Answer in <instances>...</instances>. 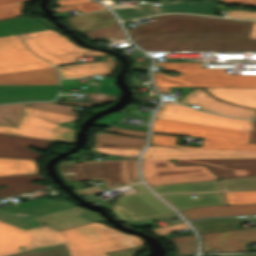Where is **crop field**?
<instances>
[{
  "label": "crop field",
  "mask_w": 256,
  "mask_h": 256,
  "mask_svg": "<svg viewBox=\"0 0 256 256\" xmlns=\"http://www.w3.org/2000/svg\"><path fill=\"white\" fill-rule=\"evenodd\" d=\"M154 19L128 29L134 42L146 51H256V39H249L254 22L184 14Z\"/></svg>",
  "instance_id": "obj_1"
},
{
  "label": "crop field",
  "mask_w": 256,
  "mask_h": 256,
  "mask_svg": "<svg viewBox=\"0 0 256 256\" xmlns=\"http://www.w3.org/2000/svg\"><path fill=\"white\" fill-rule=\"evenodd\" d=\"M65 243L68 248L99 245L68 250L70 256H108L104 252L142 245V239L127 235L99 223H91L64 231L47 225L21 230L0 222V256H9L27 249Z\"/></svg>",
  "instance_id": "obj_2"
},
{
  "label": "crop field",
  "mask_w": 256,
  "mask_h": 256,
  "mask_svg": "<svg viewBox=\"0 0 256 256\" xmlns=\"http://www.w3.org/2000/svg\"><path fill=\"white\" fill-rule=\"evenodd\" d=\"M177 165L205 164L222 179L256 176V159L175 160ZM149 185L218 179L205 166H175L172 160H142Z\"/></svg>",
  "instance_id": "obj_3"
},
{
  "label": "crop field",
  "mask_w": 256,
  "mask_h": 256,
  "mask_svg": "<svg viewBox=\"0 0 256 256\" xmlns=\"http://www.w3.org/2000/svg\"><path fill=\"white\" fill-rule=\"evenodd\" d=\"M152 132L203 137L201 147L186 148L256 150V144L249 143L251 132L207 126L181 121L154 118ZM151 144L175 145L178 136L152 134Z\"/></svg>",
  "instance_id": "obj_4"
},
{
  "label": "crop field",
  "mask_w": 256,
  "mask_h": 256,
  "mask_svg": "<svg viewBox=\"0 0 256 256\" xmlns=\"http://www.w3.org/2000/svg\"><path fill=\"white\" fill-rule=\"evenodd\" d=\"M199 64L156 63L164 70L181 72L178 77H170L153 71L156 86L256 87V75H231L224 68H203Z\"/></svg>",
  "instance_id": "obj_5"
},
{
  "label": "crop field",
  "mask_w": 256,
  "mask_h": 256,
  "mask_svg": "<svg viewBox=\"0 0 256 256\" xmlns=\"http://www.w3.org/2000/svg\"><path fill=\"white\" fill-rule=\"evenodd\" d=\"M136 161H70L59 162L56 168L65 182L102 179L106 181L105 185L111 189L139 182L136 173ZM73 162L88 163L74 164Z\"/></svg>",
  "instance_id": "obj_6"
},
{
  "label": "crop field",
  "mask_w": 256,
  "mask_h": 256,
  "mask_svg": "<svg viewBox=\"0 0 256 256\" xmlns=\"http://www.w3.org/2000/svg\"><path fill=\"white\" fill-rule=\"evenodd\" d=\"M20 37L29 49L54 64L77 62L76 57L80 56L107 55L78 47L52 30L21 34Z\"/></svg>",
  "instance_id": "obj_7"
},
{
  "label": "crop field",
  "mask_w": 256,
  "mask_h": 256,
  "mask_svg": "<svg viewBox=\"0 0 256 256\" xmlns=\"http://www.w3.org/2000/svg\"><path fill=\"white\" fill-rule=\"evenodd\" d=\"M138 193L118 197L110 212L122 223L148 219L167 213L172 209L155 197L142 183L133 185Z\"/></svg>",
  "instance_id": "obj_8"
},
{
  "label": "crop field",
  "mask_w": 256,
  "mask_h": 256,
  "mask_svg": "<svg viewBox=\"0 0 256 256\" xmlns=\"http://www.w3.org/2000/svg\"><path fill=\"white\" fill-rule=\"evenodd\" d=\"M0 132L72 143L75 131L38 117L22 114L18 127L0 125Z\"/></svg>",
  "instance_id": "obj_9"
},
{
  "label": "crop field",
  "mask_w": 256,
  "mask_h": 256,
  "mask_svg": "<svg viewBox=\"0 0 256 256\" xmlns=\"http://www.w3.org/2000/svg\"><path fill=\"white\" fill-rule=\"evenodd\" d=\"M155 117L251 131L253 120L232 119L163 102Z\"/></svg>",
  "instance_id": "obj_10"
},
{
  "label": "crop field",
  "mask_w": 256,
  "mask_h": 256,
  "mask_svg": "<svg viewBox=\"0 0 256 256\" xmlns=\"http://www.w3.org/2000/svg\"><path fill=\"white\" fill-rule=\"evenodd\" d=\"M51 66L29 52L17 35L0 38V73Z\"/></svg>",
  "instance_id": "obj_11"
},
{
  "label": "crop field",
  "mask_w": 256,
  "mask_h": 256,
  "mask_svg": "<svg viewBox=\"0 0 256 256\" xmlns=\"http://www.w3.org/2000/svg\"><path fill=\"white\" fill-rule=\"evenodd\" d=\"M202 252H248L246 242H256V227L200 234Z\"/></svg>",
  "instance_id": "obj_12"
},
{
  "label": "crop field",
  "mask_w": 256,
  "mask_h": 256,
  "mask_svg": "<svg viewBox=\"0 0 256 256\" xmlns=\"http://www.w3.org/2000/svg\"><path fill=\"white\" fill-rule=\"evenodd\" d=\"M256 158V151H227L170 148L149 145L142 159Z\"/></svg>",
  "instance_id": "obj_13"
},
{
  "label": "crop field",
  "mask_w": 256,
  "mask_h": 256,
  "mask_svg": "<svg viewBox=\"0 0 256 256\" xmlns=\"http://www.w3.org/2000/svg\"><path fill=\"white\" fill-rule=\"evenodd\" d=\"M51 141L0 133V158L38 159L43 154L27 146L46 150Z\"/></svg>",
  "instance_id": "obj_14"
},
{
  "label": "crop field",
  "mask_w": 256,
  "mask_h": 256,
  "mask_svg": "<svg viewBox=\"0 0 256 256\" xmlns=\"http://www.w3.org/2000/svg\"><path fill=\"white\" fill-rule=\"evenodd\" d=\"M178 102L186 105L194 104L202 107L200 109L221 115L256 118V110L245 109L220 102L201 88L195 89Z\"/></svg>",
  "instance_id": "obj_15"
},
{
  "label": "crop field",
  "mask_w": 256,
  "mask_h": 256,
  "mask_svg": "<svg viewBox=\"0 0 256 256\" xmlns=\"http://www.w3.org/2000/svg\"><path fill=\"white\" fill-rule=\"evenodd\" d=\"M58 73V72H57ZM54 67L0 74V84L51 85L59 83Z\"/></svg>",
  "instance_id": "obj_16"
},
{
  "label": "crop field",
  "mask_w": 256,
  "mask_h": 256,
  "mask_svg": "<svg viewBox=\"0 0 256 256\" xmlns=\"http://www.w3.org/2000/svg\"><path fill=\"white\" fill-rule=\"evenodd\" d=\"M117 64L118 61L113 59L101 62L61 66L57 68L61 71L62 77L100 75L104 78L100 84H113V79L108 78V75L112 74Z\"/></svg>",
  "instance_id": "obj_17"
},
{
  "label": "crop field",
  "mask_w": 256,
  "mask_h": 256,
  "mask_svg": "<svg viewBox=\"0 0 256 256\" xmlns=\"http://www.w3.org/2000/svg\"><path fill=\"white\" fill-rule=\"evenodd\" d=\"M25 104H28V107H34L72 115L78 114L76 112H73V107L57 105L53 102H32L0 105V124L17 126Z\"/></svg>",
  "instance_id": "obj_18"
},
{
  "label": "crop field",
  "mask_w": 256,
  "mask_h": 256,
  "mask_svg": "<svg viewBox=\"0 0 256 256\" xmlns=\"http://www.w3.org/2000/svg\"><path fill=\"white\" fill-rule=\"evenodd\" d=\"M186 220L212 216L256 214V204H238L216 207H196L180 211Z\"/></svg>",
  "instance_id": "obj_19"
},
{
  "label": "crop field",
  "mask_w": 256,
  "mask_h": 256,
  "mask_svg": "<svg viewBox=\"0 0 256 256\" xmlns=\"http://www.w3.org/2000/svg\"><path fill=\"white\" fill-rule=\"evenodd\" d=\"M40 173L25 174V175H11V176H0V185H6L8 187L0 188V199L6 198L29 191H38L41 189L48 188L41 184H34L31 180L42 179Z\"/></svg>",
  "instance_id": "obj_20"
},
{
  "label": "crop field",
  "mask_w": 256,
  "mask_h": 256,
  "mask_svg": "<svg viewBox=\"0 0 256 256\" xmlns=\"http://www.w3.org/2000/svg\"><path fill=\"white\" fill-rule=\"evenodd\" d=\"M194 194V193H193ZM197 198H192L188 193L161 195L164 200L181 210L195 206L225 205L221 193H195Z\"/></svg>",
  "instance_id": "obj_21"
},
{
  "label": "crop field",
  "mask_w": 256,
  "mask_h": 256,
  "mask_svg": "<svg viewBox=\"0 0 256 256\" xmlns=\"http://www.w3.org/2000/svg\"><path fill=\"white\" fill-rule=\"evenodd\" d=\"M79 32L117 25L118 22L109 10L81 14L66 18Z\"/></svg>",
  "instance_id": "obj_22"
},
{
  "label": "crop field",
  "mask_w": 256,
  "mask_h": 256,
  "mask_svg": "<svg viewBox=\"0 0 256 256\" xmlns=\"http://www.w3.org/2000/svg\"><path fill=\"white\" fill-rule=\"evenodd\" d=\"M216 98L256 108V88H205Z\"/></svg>",
  "instance_id": "obj_23"
},
{
  "label": "crop field",
  "mask_w": 256,
  "mask_h": 256,
  "mask_svg": "<svg viewBox=\"0 0 256 256\" xmlns=\"http://www.w3.org/2000/svg\"><path fill=\"white\" fill-rule=\"evenodd\" d=\"M37 20L49 25L44 19L31 20L28 17H18L0 21V37L48 29L47 27L35 22Z\"/></svg>",
  "instance_id": "obj_24"
},
{
  "label": "crop field",
  "mask_w": 256,
  "mask_h": 256,
  "mask_svg": "<svg viewBox=\"0 0 256 256\" xmlns=\"http://www.w3.org/2000/svg\"><path fill=\"white\" fill-rule=\"evenodd\" d=\"M151 187L156 193H167V192H177V191L195 192V191L220 190L217 180L156 185Z\"/></svg>",
  "instance_id": "obj_25"
},
{
  "label": "crop field",
  "mask_w": 256,
  "mask_h": 256,
  "mask_svg": "<svg viewBox=\"0 0 256 256\" xmlns=\"http://www.w3.org/2000/svg\"><path fill=\"white\" fill-rule=\"evenodd\" d=\"M249 222L248 217L202 219L192 221V225L200 232L237 229L235 223Z\"/></svg>",
  "instance_id": "obj_26"
},
{
  "label": "crop field",
  "mask_w": 256,
  "mask_h": 256,
  "mask_svg": "<svg viewBox=\"0 0 256 256\" xmlns=\"http://www.w3.org/2000/svg\"><path fill=\"white\" fill-rule=\"evenodd\" d=\"M37 172L36 160L0 159V175Z\"/></svg>",
  "instance_id": "obj_27"
},
{
  "label": "crop field",
  "mask_w": 256,
  "mask_h": 256,
  "mask_svg": "<svg viewBox=\"0 0 256 256\" xmlns=\"http://www.w3.org/2000/svg\"><path fill=\"white\" fill-rule=\"evenodd\" d=\"M57 92H0V103L28 101V100H52Z\"/></svg>",
  "instance_id": "obj_28"
},
{
  "label": "crop field",
  "mask_w": 256,
  "mask_h": 256,
  "mask_svg": "<svg viewBox=\"0 0 256 256\" xmlns=\"http://www.w3.org/2000/svg\"><path fill=\"white\" fill-rule=\"evenodd\" d=\"M24 113L54 121L56 123L65 125L74 130H76L77 128L76 124L73 123L72 120L77 118L78 116L66 115V114L55 113V112L28 108V107H25Z\"/></svg>",
  "instance_id": "obj_29"
},
{
  "label": "crop field",
  "mask_w": 256,
  "mask_h": 256,
  "mask_svg": "<svg viewBox=\"0 0 256 256\" xmlns=\"http://www.w3.org/2000/svg\"><path fill=\"white\" fill-rule=\"evenodd\" d=\"M96 143L144 146L145 139L99 132L96 134Z\"/></svg>",
  "instance_id": "obj_30"
},
{
  "label": "crop field",
  "mask_w": 256,
  "mask_h": 256,
  "mask_svg": "<svg viewBox=\"0 0 256 256\" xmlns=\"http://www.w3.org/2000/svg\"><path fill=\"white\" fill-rule=\"evenodd\" d=\"M83 34H85L91 41L104 38L107 41L112 42L115 40L126 38L120 25L103 28L99 30H94V31H89Z\"/></svg>",
  "instance_id": "obj_31"
},
{
  "label": "crop field",
  "mask_w": 256,
  "mask_h": 256,
  "mask_svg": "<svg viewBox=\"0 0 256 256\" xmlns=\"http://www.w3.org/2000/svg\"><path fill=\"white\" fill-rule=\"evenodd\" d=\"M177 245L178 256H193L196 251V239L194 235L170 237Z\"/></svg>",
  "instance_id": "obj_32"
},
{
  "label": "crop field",
  "mask_w": 256,
  "mask_h": 256,
  "mask_svg": "<svg viewBox=\"0 0 256 256\" xmlns=\"http://www.w3.org/2000/svg\"><path fill=\"white\" fill-rule=\"evenodd\" d=\"M115 12L118 14L120 19L140 17L159 13L158 8L157 6H155V4L117 10Z\"/></svg>",
  "instance_id": "obj_33"
},
{
  "label": "crop field",
  "mask_w": 256,
  "mask_h": 256,
  "mask_svg": "<svg viewBox=\"0 0 256 256\" xmlns=\"http://www.w3.org/2000/svg\"><path fill=\"white\" fill-rule=\"evenodd\" d=\"M223 190L256 189V177L220 180Z\"/></svg>",
  "instance_id": "obj_34"
},
{
  "label": "crop field",
  "mask_w": 256,
  "mask_h": 256,
  "mask_svg": "<svg viewBox=\"0 0 256 256\" xmlns=\"http://www.w3.org/2000/svg\"><path fill=\"white\" fill-rule=\"evenodd\" d=\"M226 204L256 203V191L222 192Z\"/></svg>",
  "instance_id": "obj_35"
},
{
  "label": "crop field",
  "mask_w": 256,
  "mask_h": 256,
  "mask_svg": "<svg viewBox=\"0 0 256 256\" xmlns=\"http://www.w3.org/2000/svg\"><path fill=\"white\" fill-rule=\"evenodd\" d=\"M85 96L88 97V100L85 102H57V103L83 105V106H94L101 102L115 100V99H117V97L119 95L86 92Z\"/></svg>",
  "instance_id": "obj_36"
},
{
  "label": "crop field",
  "mask_w": 256,
  "mask_h": 256,
  "mask_svg": "<svg viewBox=\"0 0 256 256\" xmlns=\"http://www.w3.org/2000/svg\"><path fill=\"white\" fill-rule=\"evenodd\" d=\"M13 256H69V253L65 245H62L40 250L27 251Z\"/></svg>",
  "instance_id": "obj_37"
},
{
  "label": "crop field",
  "mask_w": 256,
  "mask_h": 256,
  "mask_svg": "<svg viewBox=\"0 0 256 256\" xmlns=\"http://www.w3.org/2000/svg\"><path fill=\"white\" fill-rule=\"evenodd\" d=\"M73 9H76L81 13H86V12H92V11L105 9V7L103 5H101L100 3L93 1V2H88V3L58 7V8H54L52 10L54 12H60V11H67V10H73Z\"/></svg>",
  "instance_id": "obj_38"
},
{
  "label": "crop field",
  "mask_w": 256,
  "mask_h": 256,
  "mask_svg": "<svg viewBox=\"0 0 256 256\" xmlns=\"http://www.w3.org/2000/svg\"><path fill=\"white\" fill-rule=\"evenodd\" d=\"M58 85L51 86H16L0 85V91H57Z\"/></svg>",
  "instance_id": "obj_39"
},
{
  "label": "crop field",
  "mask_w": 256,
  "mask_h": 256,
  "mask_svg": "<svg viewBox=\"0 0 256 256\" xmlns=\"http://www.w3.org/2000/svg\"><path fill=\"white\" fill-rule=\"evenodd\" d=\"M24 3H16L0 7V20L21 15Z\"/></svg>",
  "instance_id": "obj_40"
},
{
  "label": "crop field",
  "mask_w": 256,
  "mask_h": 256,
  "mask_svg": "<svg viewBox=\"0 0 256 256\" xmlns=\"http://www.w3.org/2000/svg\"><path fill=\"white\" fill-rule=\"evenodd\" d=\"M61 88H78V89H80V86L62 85ZM85 91L119 94V91L116 86H102V85L87 86Z\"/></svg>",
  "instance_id": "obj_41"
},
{
  "label": "crop field",
  "mask_w": 256,
  "mask_h": 256,
  "mask_svg": "<svg viewBox=\"0 0 256 256\" xmlns=\"http://www.w3.org/2000/svg\"><path fill=\"white\" fill-rule=\"evenodd\" d=\"M90 150L106 154H139L140 150L92 147Z\"/></svg>",
  "instance_id": "obj_42"
},
{
  "label": "crop field",
  "mask_w": 256,
  "mask_h": 256,
  "mask_svg": "<svg viewBox=\"0 0 256 256\" xmlns=\"http://www.w3.org/2000/svg\"><path fill=\"white\" fill-rule=\"evenodd\" d=\"M228 17L256 19V12H251L249 10H230Z\"/></svg>",
  "instance_id": "obj_43"
},
{
  "label": "crop field",
  "mask_w": 256,
  "mask_h": 256,
  "mask_svg": "<svg viewBox=\"0 0 256 256\" xmlns=\"http://www.w3.org/2000/svg\"><path fill=\"white\" fill-rule=\"evenodd\" d=\"M143 247H135L127 250L108 252L109 256H135L138 252L142 251Z\"/></svg>",
  "instance_id": "obj_44"
},
{
  "label": "crop field",
  "mask_w": 256,
  "mask_h": 256,
  "mask_svg": "<svg viewBox=\"0 0 256 256\" xmlns=\"http://www.w3.org/2000/svg\"><path fill=\"white\" fill-rule=\"evenodd\" d=\"M182 228H188V226L185 223H182V224H178V225L153 229L152 232H154L157 235H162V234L171 232L175 229H182Z\"/></svg>",
  "instance_id": "obj_45"
},
{
  "label": "crop field",
  "mask_w": 256,
  "mask_h": 256,
  "mask_svg": "<svg viewBox=\"0 0 256 256\" xmlns=\"http://www.w3.org/2000/svg\"><path fill=\"white\" fill-rule=\"evenodd\" d=\"M106 131L116 132V133H119V134H128V135L141 136V137H146V135H147V132L123 130V129H114V128H107Z\"/></svg>",
  "instance_id": "obj_46"
},
{
  "label": "crop field",
  "mask_w": 256,
  "mask_h": 256,
  "mask_svg": "<svg viewBox=\"0 0 256 256\" xmlns=\"http://www.w3.org/2000/svg\"><path fill=\"white\" fill-rule=\"evenodd\" d=\"M167 62H204L198 58H166Z\"/></svg>",
  "instance_id": "obj_47"
},
{
  "label": "crop field",
  "mask_w": 256,
  "mask_h": 256,
  "mask_svg": "<svg viewBox=\"0 0 256 256\" xmlns=\"http://www.w3.org/2000/svg\"><path fill=\"white\" fill-rule=\"evenodd\" d=\"M227 3L256 6V0H221Z\"/></svg>",
  "instance_id": "obj_48"
},
{
  "label": "crop field",
  "mask_w": 256,
  "mask_h": 256,
  "mask_svg": "<svg viewBox=\"0 0 256 256\" xmlns=\"http://www.w3.org/2000/svg\"><path fill=\"white\" fill-rule=\"evenodd\" d=\"M74 191H76L79 195H86V194L102 192V190H100L96 187H91V188H86V189H79V190H74Z\"/></svg>",
  "instance_id": "obj_49"
},
{
  "label": "crop field",
  "mask_w": 256,
  "mask_h": 256,
  "mask_svg": "<svg viewBox=\"0 0 256 256\" xmlns=\"http://www.w3.org/2000/svg\"><path fill=\"white\" fill-rule=\"evenodd\" d=\"M55 1L57 2L58 5L64 6V5L88 2V1H93V0H55Z\"/></svg>",
  "instance_id": "obj_50"
},
{
  "label": "crop field",
  "mask_w": 256,
  "mask_h": 256,
  "mask_svg": "<svg viewBox=\"0 0 256 256\" xmlns=\"http://www.w3.org/2000/svg\"><path fill=\"white\" fill-rule=\"evenodd\" d=\"M150 66V60L144 62H135L132 69H145L148 70Z\"/></svg>",
  "instance_id": "obj_51"
},
{
  "label": "crop field",
  "mask_w": 256,
  "mask_h": 256,
  "mask_svg": "<svg viewBox=\"0 0 256 256\" xmlns=\"http://www.w3.org/2000/svg\"><path fill=\"white\" fill-rule=\"evenodd\" d=\"M93 146L143 149V147H136V146H120V145H104V144H94Z\"/></svg>",
  "instance_id": "obj_52"
},
{
  "label": "crop field",
  "mask_w": 256,
  "mask_h": 256,
  "mask_svg": "<svg viewBox=\"0 0 256 256\" xmlns=\"http://www.w3.org/2000/svg\"><path fill=\"white\" fill-rule=\"evenodd\" d=\"M129 82L133 87H145L144 85H148V84H142L141 81L134 79V77H131Z\"/></svg>",
  "instance_id": "obj_53"
},
{
  "label": "crop field",
  "mask_w": 256,
  "mask_h": 256,
  "mask_svg": "<svg viewBox=\"0 0 256 256\" xmlns=\"http://www.w3.org/2000/svg\"><path fill=\"white\" fill-rule=\"evenodd\" d=\"M62 84L87 85V83H78L77 79L62 80Z\"/></svg>",
  "instance_id": "obj_54"
},
{
  "label": "crop field",
  "mask_w": 256,
  "mask_h": 256,
  "mask_svg": "<svg viewBox=\"0 0 256 256\" xmlns=\"http://www.w3.org/2000/svg\"><path fill=\"white\" fill-rule=\"evenodd\" d=\"M250 142L256 143V120H254V123H253V129H252Z\"/></svg>",
  "instance_id": "obj_55"
},
{
  "label": "crop field",
  "mask_w": 256,
  "mask_h": 256,
  "mask_svg": "<svg viewBox=\"0 0 256 256\" xmlns=\"http://www.w3.org/2000/svg\"><path fill=\"white\" fill-rule=\"evenodd\" d=\"M21 1H26V0H0V6L6 5V4H11V3H16V2H21Z\"/></svg>",
  "instance_id": "obj_56"
},
{
  "label": "crop field",
  "mask_w": 256,
  "mask_h": 256,
  "mask_svg": "<svg viewBox=\"0 0 256 256\" xmlns=\"http://www.w3.org/2000/svg\"><path fill=\"white\" fill-rule=\"evenodd\" d=\"M131 7L129 4H124V5H119V6H115V7H111L113 10H117V9H123V8H129Z\"/></svg>",
  "instance_id": "obj_57"
},
{
  "label": "crop field",
  "mask_w": 256,
  "mask_h": 256,
  "mask_svg": "<svg viewBox=\"0 0 256 256\" xmlns=\"http://www.w3.org/2000/svg\"><path fill=\"white\" fill-rule=\"evenodd\" d=\"M250 38H256V22L254 23Z\"/></svg>",
  "instance_id": "obj_58"
},
{
  "label": "crop field",
  "mask_w": 256,
  "mask_h": 256,
  "mask_svg": "<svg viewBox=\"0 0 256 256\" xmlns=\"http://www.w3.org/2000/svg\"><path fill=\"white\" fill-rule=\"evenodd\" d=\"M158 90H171V87H156Z\"/></svg>",
  "instance_id": "obj_59"
},
{
  "label": "crop field",
  "mask_w": 256,
  "mask_h": 256,
  "mask_svg": "<svg viewBox=\"0 0 256 256\" xmlns=\"http://www.w3.org/2000/svg\"><path fill=\"white\" fill-rule=\"evenodd\" d=\"M218 256H256V255H218Z\"/></svg>",
  "instance_id": "obj_60"
},
{
  "label": "crop field",
  "mask_w": 256,
  "mask_h": 256,
  "mask_svg": "<svg viewBox=\"0 0 256 256\" xmlns=\"http://www.w3.org/2000/svg\"><path fill=\"white\" fill-rule=\"evenodd\" d=\"M143 99H159V97H150V96H144Z\"/></svg>",
  "instance_id": "obj_61"
},
{
  "label": "crop field",
  "mask_w": 256,
  "mask_h": 256,
  "mask_svg": "<svg viewBox=\"0 0 256 256\" xmlns=\"http://www.w3.org/2000/svg\"><path fill=\"white\" fill-rule=\"evenodd\" d=\"M247 62H256V52H254V60H247Z\"/></svg>",
  "instance_id": "obj_62"
},
{
  "label": "crop field",
  "mask_w": 256,
  "mask_h": 256,
  "mask_svg": "<svg viewBox=\"0 0 256 256\" xmlns=\"http://www.w3.org/2000/svg\"><path fill=\"white\" fill-rule=\"evenodd\" d=\"M252 221L256 222V216H251Z\"/></svg>",
  "instance_id": "obj_63"
},
{
  "label": "crop field",
  "mask_w": 256,
  "mask_h": 256,
  "mask_svg": "<svg viewBox=\"0 0 256 256\" xmlns=\"http://www.w3.org/2000/svg\"><path fill=\"white\" fill-rule=\"evenodd\" d=\"M161 92V94H163V93H170V91H160Z\"/></svg>",
  "instance_id": "obj_64"
}]
</instances>
